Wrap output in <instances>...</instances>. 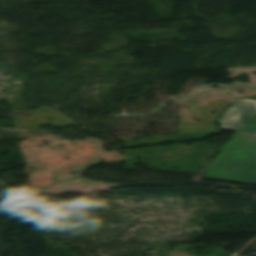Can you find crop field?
I'll return each mask as SVG.
<instances>
[{
    "label": "crop field",
    "instance_id": "8a807250",
    "mask_svg": "<svg viewBox=\"0 0 256 256\" xmlns=\"http://www.w3.org/2000/svg\"><path fill=\"white\" fill-rule=\"evenodd\" d=\"M203 177L256 184V135L235 132Z\"/></svg>",
    "mask_w": 256,
    "mask_h": 256
},
{
    "label": "crop field",
    "instance_id": "ac0d7876",
    "mask_svg": "<svg viewBox=\"0 0 256 256\" xmlns=\"http://www.w3.org/2000/svg\"><path fill=\"white\" fill-rule=\"evenodd\" d=\"M219 122V129L256 134V102L235 100Z\"/></svg>",
    "mask_w": 256,
    "mask_h": 256
}]
</instances>
